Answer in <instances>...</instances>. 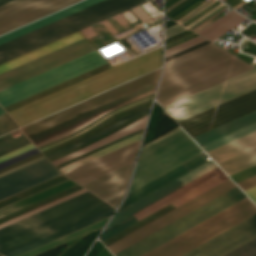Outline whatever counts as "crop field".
<instances>
[{"label":"crop field","mask_w":256,"mask_h":256,"mask_svg":"<svg viewBox=\"0 0 256 256\" xmlns=\"http://www.w3.org/2000/svg\"><path fill=\"white\" fill-rule=\"evenodd\" d=\"M209 160H210V158L204 152L195 156L194 158L188 160L187 162L170 170L169 172L163 174L162 176H160V177L154 179L153 181L145 184L144 186L138 188L137 190L129 193L127 195L125 201L123 202V204L120 206L119 210L124 208L125 206L135 202L136 200L144 197L145 195L153 192L154 190L162 187L163 185L173 181L174 179L182 176L183 174L191 171L192 169L202 165L203 163H205ZM214 166H216V164L212 161H209V162L203 164L202 166L192 170L191 172L183 175L182 177L174 180L173 182L165 185L164 187L145 196L144 198L136 201L135 203L125 207L124 209L116 212V215L112 218V220L109 224L115 222L116 220L124 217L125 215L133 212L134 210L142 207L143 205L162 196L163 194L171 191L172 189L180 186L181 184L189 181L190 179L198 176L199 174L207 171L208 169H210ZM227 179H229V178L223 173V171L221 169H219L216 166L131 214L138 221V220L150 215L151 213L163 208L164 206H166L176 200L182 205L183 203L191 200L192 198L200 195L201 193L211 189L212 187L220 184L221 182H223ZM177 201L166 206L165 208L155 212L154 214L144 218L143 220H141L139 222H137L133 218V216L130 214V215L118 220L117 222L107 226L99 239L102 241V240L110 237L111 235L119 232L120 230L128 227L129 225L137 222L134 225L124 229L123 231L113 235L112 237L102 241L107 246V245L115 242L116 240L124 237L125 235L135 231L136 229L144 226L145 224L153 221L154 219L162 216L163 214L180 206V204Z\"/></svg>","instance_id":"obj_1"},{"label":"crop field","mask_w":256,"mask_h":256,"mask_svg":"<svg viewBox=\"0 0 256 256\" xmlns=\"http://www.w3.org/2000/svg\"><path fill=\"white\" fill-rule=\"evenodd\" d=\"M245 197L236 187L115 255L141 256ZM254 214L247 197L143 256H181Z\"/></svg>","instance_id":"obj_2"},{"label":"crop field","mask_w":256,"mask_h":256,"mask_svg":"<svg viewBox=\"0 0 256 256\" xmlns=\"http://www.w3.org/2000/svg\"><path fill=\"white\" fill-rule=\"evenodd\" d=\"M255 88L256 68L168 105L164 109L179 122ZM253 110H256V89L179 124L193 137Z\"/></svg>","instance_id":"obj_3"},{"label":"crop field","mask_w":256,"mask_h":256,"mask_svg":"<svg viewBox=\"0 0 256 256\" xmlns=\"http://www.w3.org/2000/svg\"><path fill=\"white\" fill-rule=\"evenodd\" d=\"M100 1L102 0H85L81 3L40 19L8 34L0 36V44ZM144 2H146V0H105L56 22H53L47 26L0 45V64Z\"/></svg>","instance_id":"obj_4"},{"label":"crop field","mask_w":256,"mask_h":256,"mask_svg":"<svg viewBox=\"0 0 256 256\" xmlns=\"http://www.w3.org/2000/svg\"><path fill=\"white\" fill-rule=\"evenodd\" d=\"M251 68L209 43L165 62L156 100L164 107Z\"/></svg>","instance_id":"obj_5"},{"label":"crop field","mask_w":256,"mask_h":256,"mask_svg":"<svg viewBox=\"0 0 256 256\" xmlns=\"http://www.w3.org/2000/svg\"><path fill=\"white\" fill-rule=\"evenodd\" d=\"M161 64L162 47L13 110L9 112V114L20 125H24L108 88L156 69L160 67Z\"/></svg>","instance_id":"obj_6"},{"label":"crop field","mask_w":256,"mask_h":256,"mask_svg":"<svg viewBox=\"0 0 256 256\" xmlns=\"http://www.w3.org/2000/svg\"><path fill=\"white\" fill-rule=\"evenodd\" d=\"M110 208L86 192L0 229V253L4 254L31 241Z\"/></svg>","instance_id":"obj_7"},{"label":"crop field","mask_w":256,"mask_h":256,"mask_svg":"<svg viewBox=\"0 0 256 256\" xmlns=\"http://www.w3.org/2000/svg\"><path fill=\"white\" fill-rule=\"evenodd\" d=\"M202 151L178 126L142 147L130 191L137 189Z\"/></svg>","instance_id":"obj_8"},{"label":"crop field","mask_w":256,"mask_h":256,"mask_svg":"<svg viewBox=\"0 0 256 256\" xmlns=\"http://www.w3.org/2000/svg\"><path fill=\"white\" fill-rule=\"evenodd\" d=\"M82 38H84V36L81 34V32H76L72 35H69L65 38H62L58 41H55L51 44H48L44 47H41L37 50H34L30 53H27L23 56H20L16 59L0 65V73L14 68L18 65H21L25 62H28L32 59L40 57L44 54H47L51 51H54L58 48H61L65 45L73 43ZM94 49L95 48L91 45V43L86 38H84L73 44L65 46L33 61L25 63L7 72H4L0 74V90L24 79H27L31 76H34L38 73H41L45 70H48L52 67H55L59 64H62L66 61H69L73 58H76L80 55H83L87 52H90Z\"/></svg>","instance_id":"obj_9"},{"label":"crop field","mask_w":256,"mask_h":256,"mask_svg":"<svg viewBox=\"0 0 256 256\" xmlns=\"http://www.w3.org/2000/svg\"><path fill=\"white\" fill-rule=\"evenodd\" d=\"M106 64L95 50L44 73L0 91V104L5 107L61 82Z\"/></svg>","instance_id":"obj_10"},{"label":"crop field","mask_w":256,"mask_h":256,"mask_svg":"<svg viewBox=\"0 0 256 256\" xmlns=\"http://www.w3.org/2000/svg\"><path fill=\"white\" fill-rule=\"evenodd\" d=\"M161 69V68H160ZM160 69L153 71L149 74H146L140 78H137L133 81H130L126 84H123L119 87H116L112 90H109L103 94H100L96 97H93L89 100H86L82 103H79L73 107H70L66 110H63L59 113H56L52 116H49L45 119H42L36 123H33L29 126H26L22 128L21 130L24 132V134L28 137L34 133H37L41 130H44L48 127H51L55 124H58L62 121H65L69 118H72L76 115H79L83 112H86L90 109H93L99 105H102L108 101H111L115 98H118L124 94H127L131 91H134L140 87H143L147 84H150L154 81H156L159 77ZM157 82V81H156Z\"/></svg>","instance_id":"obj_11"},{"label":"crop field","mask_w":256,"mask_h":256,"mask_svg":"<svg viewBox=\"0 0 256 256\" xmlns=\"http://www.w3.org/2000/svg\"><path fill=\"white\" fill-rule=\"evenodd\" d=\"M80 0H14L0 6V34Z\"/></svg>","instance_id":"obj_12"},{"label":"crop field","mask_w":256,"mask_h":256,"mask_svg":"<svg viewBox=\"0 0 256 256\" xmlns=\"http://www.w3.org/2000/svg\"><path fill=\"white\" fill-rule=\"evenodd\" d=\"M234 187L236 186L229 179L107 247L115 254Z\"/></svg>","instance_id":"obj_13"},{"label":"crop field","mask_w":256,"mask_h":256,"mask_svg":"<svg viewBox=\"0 0 256 256\" xmlns=\"http://www.w3.org/2000/svg\"><path fill=\"white\" fill-rule=\"evenodd\" d=\"M153 84H154V83H153ZM153 84H151V85H149V86H146V87H144V88H142V89H139V90H137V91H135V92H132V93H130V94H128V95H125V96H123V97H121V98H118V99H116V100H114V101H111V102H109V103H107V104H104V105H102V106H100V107H97V108H95V109H93V110H90V111H88V112H86V113H83V114H81V115H79V116H77V117H74V118H72V119H70V120H67V121H65V122H63V123H61V124H58V125H56V126H54V127H51V128H49V129H47V130H45V131H42V132H40V133H38V134H35V135L31 136L30 138H31L32 141H34V140H36V139H38V138H41V137L46 136V135H48V134H50V133H53V132L58 131V130H60V129H62V128H65V127H67V125H69V124H71V123H73V122H76V121H78V120H80V119H83V118H85V117H88V116H90V115H92V114H95V113H97V112H99V111H102V110H104V109H106V108H109V107H111V106H114V105H116V104H118V103H121V102H123V101H125V100H128V99H130V98H132V97H135V96L140 95V94H142V93H144V92H147V91H149V90H151V89L153 88ZM154 90H155V89H153V90H151V91H149V92H147V93H144V94H142V95H140V96H137V97H135V98H132V99H130V100H128V101H125V102H123V103H121V104H118V105H116V106H114V107H111V108H109V109H106V110H104V111H102V112H99V113H97V114H95V115H92V116H90V117H88V118H85V119H83V120H80V121H78V122H76V123H73V124L69 125V127L65 128V129H63V130H60V131H58V132H55V133H53V134H51V135H48V136H46V137H43V138H41V139H39V140H36V141H34L33 143H34L38 148H40V147H42V146H44V145H47V144H49V143H51V142H54V141H56V140H58V139H60V138H63V137H65V136H67V135H70V134H72V133L78 131L79 129H81V128L87 126V125H89L90 123H92V122H93L94 120H96L97 118H99V117H101V116H103V115H105V114H107V113H109V112H111V111H113V110H115V109H117V108L123 106V105H126V104H128V103H130V102H133V101L139 99V98H142V97H144V96H146V95H149V94L153 93Z\"/></svg>","instance_id":"obj_14"},{"label":"crop field","mask_w":256,"mask_h":256,"mask_svg":"<svg viewBox=\"0 0 256 256\" xmlns=\"http://www.w3.org/2000/svg\"><path fill=\"white\" fill-rule=\"evenodd\" d=\"M256 237V215L182 256H223Z\"/></svg>","instance_id":"obj_15"},{"label":"crop field","mask_w":256,"mask_h":256,"mask_svg":"<svg viewBox=\"0 0 256 256\" xmlns=\"http://www.w3.org/2000/svg\"><path fill=\"white\" fill-rule=\"evenodd\" d=\"M254 148H256V132L212 150L208 154L219 164ZM254 165H256V149L219 164L229 176Z\"/></svg>","instance_id":"obj_16"},{"label":"crop field","mask_w":256,"mask_h":256,"mask_svg":"<svg viewBox=\"0 0 256 256\" xmlns=\"http://www.w3.org/2000/svg\"><path fill=\"white\" fill-rule=\"evenodd\" d=\"M141 141V140H140ZM140 141L64 173L82 185L135 160Z\"/></svg>","instance_id":"obj_17"},{"label":"crop field","mask_w":256,"mask_h":256,"mask_svg":"<svg viewBox=\"0 0 256 256\" xmlns=\"http://www.w3.org/2000/svg\"><path fill=\"white\" fill-rule=\"evenodd\" d=\"M60 175L53 165L42 159L0 177V200Z\"/></svg>","instance_id":"obj_18"},{"label":"crop field","mask_w":256,"mask_h":256,"mask_svg":"<svg viewBox=\"0 0 256 256\" xmlns=\"http://www.w3.org/2000/svg\"><path fill=\"white\" fill-rule=\"evenodd\" d=\"M254 131L256 111L197 135L193 139L208 152Z\"/></svg>","instance_id":"obj_19"},{"label":"crop field","mask_w":256,"mask_h":256,"mask_svg":"<svg viewBox=\"0 0 256 256\" xmlns=\"http://www.w3.org/2000/svg\"><path fill=\"white\" fill-rule=\"evenodd\" d=\"M133 165L134 162L82 186L117 207L127 190Z\"/></svg>","instance_id":"obj_20"},{"label":"crop field","mask_w":256,"mask_h":256,"mask_svg":"<svg viewBox=\"0 0 256 256\" xmlns=\"http://www.w3.org/2000/svg\"><path fill=\"white\" fill-rule=\"evenodd\" d=\"M114 210L115 209L111 208V209H109L107 211H104V212H102L100 214H97V215H95L93 217H90V218H88L86 220H83V221H81L79 223H76V224H74L72 226H69V227H67L65 229H62V230H60L58 232L50 234V235H48L46 237H43V238H41L39 240H36V241H34L32 243H29V244H27L25 246H22V247H20L18 249H15V250H13L11 252H8V253L4 254V255H6V256H17L19 254H22V253H24L26 251H29V250H31V249H33L35 247H38V246H40L42 244H45V243H47V242H49L51 240H54V239H56L58 237H61V236L65 235V234H67V233H70V232H72V231H74L76 229H79V228H81L83 226H86V225L92 223V222H95V221H97L99 219H102V218H104V217H106L108 215H112Z\"/></svg>","instance_id":"obj_21"},{"label":"crop field","mask_w":256,"mask_h":256,"mask_svg":"<svg viewBox=\"0 0 256 256\" xmlns=\"http://www.w3.org/2000/svg\"><path fill=\"white\" fill-rule=\"evenodd\" d=\"M245 19L234 11H231L197 33L213 42L233 27L241 24Z\"/></svg>","instance_id":"obj_22"},{"label":"crop field","mask_w":256,"mask_h":256,"mask_svg":"<svg viewBox=\"0 0 256 256\" xmlns=\"http://www.w3.org/2000/svg\"><path fill=\"white\" fill-rule=\"evenodd\" d=\"M147 117H148V116H147ZM147 117H143V118H141V119H139V120L133 122V123L130 124L129 126H127V127L123 128V129L119 130L118 132H116V133H114V134H112V135H110V136H108V137H106V138H103V139H101V140H99V141H97V142H95V143L89 145L88 147H86V148H84V149H82V150H80V151H77V152L72 153V154H70V155H67V156H65V157H63V158H60V159H58V160H55V161H53V163H54L55 165H57V164H59V163H61V162H64V161H66V160H68V159H71V158H73V157H75V156H78V155H80V154H82V153H85V152H87V151H89V150H92V149H94V148H96V147H99V146L104 145V144H106V143H108V142H111V141H113V140H115V139H118V138H120V137H122V136H125V135H127V134H129V133H132V132H134V131H136V130H139V129H141V128H143V127L145 126Z\"/></svg>","instance_id":"obj_23"},{"label":"crop field","mask_w":256,"mask_h":256,"mask_svg":"<svg viewBox=\"0 0 256 256\" xmlns=\"http://www.w3.org/2000/svg\"><path fill=\"white\" fill-rule=\"evenodd\" d=\"M142 133H143V132H142ZM142 133H140V134H138V135H135V136H133V137H131V138H128V139H126V140H124V141H121V142H119V143H117V144H114V145H112V146H110V147H107V148H105V149H103V150H100V151H98V152H96V153H94V154H91V155H89V156H87V157H84V158H82V159H80V160H77V161H75V162H73V163H70V164H68V165H66V166H63V167L59 168V170H60L62 173H64V172H66V171H68V170H71V169H73V168H75V167H78V166H80V165H82V164H85V163H87V162H89V161H92V160H94V159H96V158H99V157H101V156H103V155H105V154H108V153H110V152H112V151H115V150H117V149H119V148H122V147H124V146H126V145H129V144H131V143H133V142H136V141H138V140L141 139Z\"/></svg>","instance_id":"obj_24"},{"label":"crop field","mask_w":256,"mask_h":256,"mask_svg":"<svg viewBox=\"0 0 256 256\" xmlns=\"http://www.w3.org/2000/svg\"><path fill=\"white\" fill-rule=\"evenodd\" d=\"M73 185H75L74 183H72V182H70V181H68V182H66V183H63V184H61V185H59V186H56V187H54V188H51V189H49V190H47V191H44V192H42V193H39V194H37V195H35V196H32V197H30V198H27V199H25V200H23V201H20V202H18V203H15V204H13V205H11V206H8V207H6V208H3V209H1L0 210V217L1 216H3V215H6V214H8V213H10V212H13V211H15V210H17V209H20V208H22V207H24V206H26V205H29V204H31V203H33V202H36V201H38V200H40V199H43V198H45V197H47V196H50V195H52V194H54V193H57V192H59V191H61V190H64V189H66V188H68V187H71V186H73ZM76 186V185H75ZM69 189V188H68ZM62 192V191H61ZM55 195V194H54ZM48 198V197H47ZM41 201V200H40ZM34 204V203H33ZM27 207V206H26Z\"/></svg>","instance_id":"obj_25"},{"label":"crop field","mask_w":256,"mask_h":256,"mask_svg":"<svg viewBox=\"0 0 256 256\" xmlns=\"http://www.w3.org/2000/svg\"><path fill=\"white\" fill-rule=\"evenodd\" d=\"M30 144L23 136L13 139L9 134L0 137V156Z\"/></svg>","instance_id":"obj_26"},{"label":"crop field","mask_w":256,"mask_h":256,"mask_svg":"<svg viewBox=\"0 0 256 256\" xmlns=\"http://www.w3.org/2000/svg\"><path fill=\"white\" fill-rule=\"evenodd\" d=\"M237 173H238V172H237ZM254 175H256V166L251 167V168H249V169H247V170H244V171H242V172H240V173H238V174H235V175L231 176V178H232L236 183H238V182H240V181H242V180H245V179H247V178H249V177H252V176H254ZM238 185H239L243 190H245V189H247V188H249V187H252V186L256 185V176H254V177H252V178H249V179H247V180H245V181H242V182L238 183Z\"/></svg>","instance_id":"obj_27"},{"label":"crop field","mask_w":256,"mask_h":256,"mask_svg":"<svg viewBox=\"0 0 256 256\" xmlns=\"http://www.w3.org/2000/svg\"><path fill=\"white\" fill-rule=\"evenodd\" d=\"M84 192H86V191H85L84 189H82V190H80V191H78V192H75V193H73V194H71V195H68V196H66V197H64V198H61V199H59V200H57V201H54V202H52V203H50V204H47V205H45V206H43V207H40V208H38V209H36V210H33V211L29 212V213H26V214H24V215H21V216H19V217H17V218H14V219L10 220V221H7V222H5V223H3V224H0V228L6 226V225H8V224H11V223H13V222H16V221H18V220H20V219H23V218H25V217H27V216H30V215H32V214H34V213H37V212H39V211H41V210H44V209H46V208H49V207H51V206H53V205H56V204H58V203H60V202H63V201H65V200H67V199H70V198H72V197H75V196H77V195H79V194H82V193H84Z\"/></svg>","instance_id":"obj_28"},{"label":"crop field","mask_w":256,"mask_h":256,"mask_svg":"<svg viewBox=\"0 0 256 256\" xmlns=\"http://www.w3.org/2000/svg\"><path fill=\"white\" fill-rule=\"evenodd\" d=\"M224 256H256V238Z\"/></svg>","instance_id":"obj_29"},{"label":"crop field","mask_w":256,"mask_h":256,"mask_svg":"<svg viewBox=\"0 0 256 256\" xmlns=\"http://www.w3.org/2000/svg\"><path fill=\"white\" fill-rule=\"evenodd\" d=\"M149 108H150V106L147 107V108H145V109H143V110H141V111H139V112H136V113H134V114H132V115L126 117V118H123V119H121L120 121H118L116 124H114V125L108 127L107 129H105V130L99 132L98 134L94 135L93 137H91V138H89V139H87V140H84V141H82V142L76 143V144H74V145H72V146H69V147H67V148H65V149H63V150H60V151H58V152H56V153H54V154H52V155H50V156H47V157L50 158V157H52V156H54V155H57V154L62 153V152H64V151H66V150H69V149L74 148V147H76V146H78V145H81V144H83V143H85V142H87V141H89V140H91V139H93V138H95V137H97V136H99V135H101V134H103V133H105V132H107V131L113 129L114 127H116V126L119 125L120 123H122V122H124V121H126V120H128V119H131V118H133V117H135V116H137V115H139V114H141V113H143V112L148 111ZM120 125H121V124H120Z\"/></svg>","instance_id":"obj_30"},{"label":"crop field","mask_w":256,"mask_h":256,"mask_svg":"<svg viewBox=\"0 0 256 256\" xmlns=\"http://www.w3.org/2000/svg\"><path fill=\"white\" fill-rule=\"evenodd\" d=\"M203 41H205V40L202 39L201 37L197 36V37H195L193 39H190V40H188L186 42H183V43L178 44V45H176L174 47H171V48L165 50V58L170 56V55H173V54H175L177 52H180V51H182L184 49H187V48H189L191 46H194V45H196L198 43H201Z\"/></svg>","instance_id":"obj_31"},{"label":"crop field","mask_w":256,"mask_h":256,"mask_svg":"<svg viewBox=\"0 0 256 256\" xmlns=\"http://www.w3.org/2000/svg\"><path fill=\"white\" fill-rule=\"evenodd\" d=\"M5 113V111L0 107V115ZM19 127L13 119L7 114H3L0 116V135L6 133L10 130Z\"/></svg>","instance_id":"obj_32"},{"label":"crop field","mask_w":256,"mask_h":256,"mask_svg":"<svg viewBox=\"0 0 256 256\" xmlns=\"http://www.w3.org/2000/svg\"><path fill=\"white\" fill-rule=\"evenodd\" d=\"M37 153H39V151L36 148H34V149L30 150V151H27V152H25L23 154H20V155L14 157V158H11V159H9L7 161H4V162L0 163V169L5 168V167H7L9 165H12V164H14L16 162H19V161H21V160H23L25 158H28V157H30L32 155L37 154Z\"/></svg>","instance_id":"obj_33"},{"label":"crop field","mask_w":256,"mask_h":256,"mask_svg":"<svg viewBox=\"0 0 256 256\" xmlns=\"http://www.w3.org/2000/svg\"><path fill=\"white\" fill-rule=\"evenodd\" d=\"M152 96H153V95H152ZM152 96H150V97H148V98H145V99H143V100H141V101H138V102H136V103H134V104H131V105L127 106V107H124V108H122V109H120V110H117V111H115V112H113V113H110V114L106 115L105 117H103V118L100 119L99 121L95 122V123H94L93 125H91L90 127L86 128L85 130H83V131H81V132H79V133H77V134H75V135H73V136H71V137H69V138L63 140V141H66V140H68V139H70V138H72V137H74V136H76V135H79V134H81V133H83V132H85V131H87V130L93 128L94 126H96L98 123H100L101 121H103V120L106 119L107 117H109V116H111V115H113V114H115V113H117V112H120V111H122V110H125V109H127V108H129V107H132V106H134V105H136V104H138V103H140V102H143V101H145V100L151 98ZM151 99H152V98H151ZM63 141H60V142L55 143V144H53V145H50V146H48V147H46V148H43V149H41V151L46 150V149H48V148H50V147H52V146H55V145H57V144H59V143H61V142H63Z\"/></svg>","instance_id":"obj_34"},{"label":"crop field","mask_w":256,"mask_h":256,"mask_svg":"<svg viewBox=\"0 0 256 256\" xmlns=\"http://www.w3.org/2000/svg\"><path fill=\"white\" fill-rule=\"evenodd\" d=\"M32 148H34V146L32 144H30V145H28L26 147H23V148L19 149V150H16V151L11 152V153H9L7 155H4V156L0 157V162H2L4 160H7V159H9L11 157H14V156H16V155H18L20 153H23V152H25L27 150L32 149Z\"/></svg>","instance_id":"obj_35"},{"label":"crop field","mask_w":256,"mask_h":256,"mask_svg":"<svg viewBox=\"0 0 256 256\" xmlns=\"http://www.w3.org/2000/svg\"><path fill=\"white\" fill-rule=\"evenodd\" d=\"M217 1V0H216ZM214 3V2H213ZM220 2H215L214 4H210L211 6L207 7L206 9H204L203 11H201L200 13H198L197 15H195L194 17H192L191 19L187 20L186 22H184L182 25L186 26L189 23H191L192 21H194L195 19H197L198 17H200L201 15H203L204 13H206L207 11H209L210 9H212L213 7H215L216 5H218Z\"/></svg>","instance_id":"obj_36"},{"label":"crop field","mask_w":256,"mask_h":256,"mask_svg":"<svg viewBox=\"0 0 256 256\" xmlns=\"http://www.w3.org/2000/svg\"><path fill=\"white\" fill-rule=\"evenodd\" d=\"M245 192L250 196V198L256 203V186L245 190Z\"/></svg>","instance_id":"obj_37"},{"label":"crop field","mask_w":256,"mask_h":256,"mask_svg":"<svg viewBox=\"0 0 256 256\" xmlns=\"http://www.w3.org/2000/svg\"><path fill=\"white\" fill-rule=\"evenodd\" d=\"M207 43H209V42L205 41V42H203V43H201V44H198V45H196V46H194V47H191V48H189V49H187V50H184V51H182V52H180V53H177V54H175V55H173V56H170V57L166 58L165 61L168 60V59H171V58H173V57H175V56H178V55H180V54H183V53H185V52H187V51H190V50H192V49H195V48H197V47H200V46H202V45H204V44H207Z\"/></svg>","instance_id":"obj_38"},{"label":"crop field","mask_w":256,"mask_h":256,"mask_svg":"<svg viewBox=\"0 0 256 256\" xmlns=\"http://www.w3.org/2000/svg\"><path fill=\"white\" fill-rule=\"evenodd\" d=\"M227 8V7H226ZM226 8H224L223 10H225ZM223 10H221L220 12H222ZM220 12H218L217 14H215L214 16H212L211 18L207 19L206 21H204L203 23H201L200 25H198L197 27H195L194 29H192L193 31L196 30L197 28H199L200 26H202L204 23H206L207 21H209L210 19H212L213 17H215L216 15H218Z\"/></svg>","instance_id":"obj_39"},{"label":"crop field","mask_w":256,"mask_h":256,"mask_svg":"<svg viewBox=\"0 0 256 256\" xmlns=\"http://www.w3.org/2000/svg\"><path fill=\"white\" fill-rule=\"evenodd\" d=\"M175 24H177V23L174 22V21H165V29L170 27V26H173Z\"/></svg>","instance_id":"obj_40"},{"label":"crop field","mask_w":256,"mask_h":256,"mask_svg":"<svg viewBox=\"0 0 256 256\" xmlns=\"http://www.w3.org/2000/svg\"><path fill=\"white\" fill-rule=\"evenodd\" d=\"M184 0H180L177 3H175L174 5H172L171 7H169L168 9H166V12H168L169 10H171L172 8H174L175 6H177L178 4H180L181 2H183Z\"/></svg>","instance_id":"obj_41"},{"label":"crop field","mask_w":256,"mask_h":256,"mask_svg":"<svg viewBox=\"0 0 256 256\" xmlns=\"http://www.w3.org/2000/svg\"><path fill=\"white\" fill-rule=\"evenodd\" d=\"M10 1H12V0H0V5H3V4H5L7 2H10Z\"/></svg>","instance_id":"obj_42"}]
</instances>
